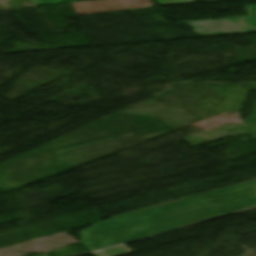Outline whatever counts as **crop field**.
I'll use <instances>...</instances> for the list:
<instances>
[{"mask_svg": "<svg viewBox=\"0 0 256 256\" xmlns=\"http://www.w3.org/2000/svg\"><path fill=\"white\" fill-rule=\"evenodd\" d=\"M256 206V197L208 208L194 197L93 224L79 232L90 252Z\"/></svg>", "mask_w": 256, "mask_h": 256, "instance_id": "crop-field-1", "label": "crop field"}, {"mask_svg": "<svg viewBox=\"0 0 256 256\" xmlns=\"http://www.w3.org/2000/svg\"><path fill=\"white\" fill-rule=\"evenodd\" d=\"M244 17L221 18L187 24L194 27V31L204 36L256 32V29L243 24Z\"/></svg>", "mask_w": 256, "mask_h": 256, "instance_id": "crop-field-2", "label": "crop field"}, {"mask_svg": "<svg viewBox=\"0 0 256 256\" xmlns=\"http://www.w3.org/2000/svg\"><path fill=\"white\" fill-rule=\"evenodd\" d=\"M252 196H256L255 188L233 186L196 198L208 207H213Z\"/></svg>", "mask_w": 256, "mask_h": 256, "instance_id": "crop-field-3", "label": "crop field"}, {"mask_svg": "<svg viewBox=\"0 0 256 256\" xmlns=\"http://www.w3.org/2000/svg\"><path fill=\"white\" fill-rule=\"evenodd\" d=\"M102 252H104L107 256H120L128 253H132L133 251H131L128 247L123 245V246L103 250Z\"/></svg>", "mask_w": 256, "mask_h": 256, "instance_id": "crop-field-4", "label": "crop field"}, {"mask_svg": "<svg viewBox=\"0 0 256 256\" xmlns=\"http://www.w3.org/2000/svg\"><path fill=\"white\" fill-rule=\"evenodd\" d=\"M29 1L32 3L33 6H38V5L73 2V1H80V0H29Z\"/></svg>", "mask_w": 256, "mask_h": 256, "instance_id": "crop-field-5", "label": "crop field"}, {"mask_svg": "<svg viewBox=\"0 0 256 256\" xmlns=\"http://www.w3.org/2000/svg\"><path fill=\"white\" fill-rule=\"evenodd\" d=\"M251 8H256V6H246L249 16L245 17L244 23L256 28V16L254 17L251 16V11H250Z\"/></svg>", "mask_w": 256, "mask_h": 256, "instance_id": "crop-field-6", "label": "crop field"}, {"mask_svg": "<svg viewBox=\"0 0 256 256\" xmlns=\"http://www.w3.org/2000/svg\"><path fill=\"white\" fill-rule=\"evenodd\" d=\"M240 186H248V187H255L256 188V181L249 182V183H246V184H242Z\"/></svg>", "mask_w": 256, "mask_h": 256, "instance_id": "crop-field-7", "label": "crop field"}, {"mask_svg": "<svg viewBox=\"0 0 256 256\" xmlns=\"http://www.w3.org/2000/svg\"><path fill=\"white\" fill-rule=\"evenodd\" d=\"M95 256H103L100 252L94 253Z\"/></svg>", "mask_w": 256, "mask_h": 256, "instance_id": "crop-field-8", "label": "crop field"}]
</instances>
